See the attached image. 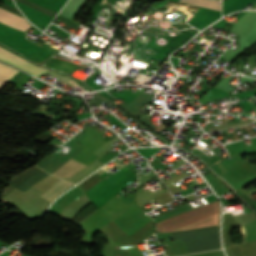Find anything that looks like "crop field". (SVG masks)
<instances>
[{"instance_id":"8a807250","label":"crop field","mask_w":256,"mask_h":256,"mask_svg":"<svg viewBox=\"0 0 256 256\" xmlns=\"http://www.w3.org/2000/svg\"><path fill=\"white\" fill-rule=\"evenodd\" d=\"M218 200L156 223L159 232L179 231L219 224Z\"/></svg>"},{"instance_id":"5a996713","label":"crop field","mask_w":256,"mask_h":256,"mask_svg":"<svg viewBox=\"0 0 256 256\" xmlns=\"http://www.w3.org/2000/svg\"><path fill=\"white\" fill-rule=\"evenodd\" d=\"M0 7H2V8H4V9L8 10V11H11V12H13V13H15V14L21 16V17H23V15H22L17 9L12 8V7H10V6L6 5V4H3V5H1Z\"/></svg>"},{"instance_id":"412701ff","label":"crop field","mask_w":256,"mask_h":256,"mask_svg":"<svg viewBox=\"0 0 256 256\" xmlns=\"http://www.w3.org/2000/svg\"><path fill=\"white\" fill-rule=\"evenodd\" d=\"M84 167H86V165L70 159L52 174L61 177H72Z\"/></svg>"},{"instance_id":"e52e79f7","label":"crop field","mask_w":256,"mask_h":256,"mask_svg":"<svg viewBox=\"0 0 256 256\" xmlns=\"http://www.w3.org/2000/svg\"><path fill=\"white\" fill-rule=\"evenodd\" d=\"M16 72L17 70L0 63V87L3 86Z\"/></svg>"},{"instance_id":"d8731c3e","label":"crop field","mask_w":256,"mask_h":256,"mask_svg":"<svg viewBox=\"0 0 256 256\" xmlns=\"http://www.w3.org/2000/svg\"><path fill=\"white\" fill-rule=\"evenodd\" d=\"M16 1H18L20 3H23V4H25V5L29 6V7H32L34 9H36V10H39V11H41V12H43L45 14H48V15H50L52 17H54L55 14H56V12H54V11L48 9V8L41 7V6L31 2L29 0H16Z\"/></svg>"},{"instance_id":"dd49c442","label":"crop field","mask_w":256,"mask_h":256,"mask_svg":"<svg viewBox=\"0 0 256 256\" xmlns=\"http://www.w3.org/2000/svg\"><path fill=\"white\" fill-rule=\"evenodd\" d=\"M180 1L221 11V1H218V0H180Z\"/></svg>"},{"instance_id":"ac0d7876","label":"crop field","mask_w":256,"mask_h":256,"mask_svg":"<svg viewBox=\"0 0 256 256\" xmlns=\"http://www.w3.org/2000/svg\"><path fill=\"white\" fill-rule=\"evenodd\" d=\"M0 61L21 68L39 78L48 71V69L38 67L2 47H0Z\"/></svg>"},{"instance_id":"f4fd0767","label":"crop field","mask_w":256,"mask_h":256,"mask_svg":"<svg viewBox=\"0 0 256 256\" xmlns=\"http://www.w3.org/2000/svg\"><path fill=\"white\" fill-rule=\"evenodd\" d=\"M69 186H71V184L60 179L55 185H53L49 190H47L41 197L52 201L57 195H59Z\"/></svg>"},{"instance_id":"34b2d1b8","label":"crop field","mask_w":256,"mask_h":256,"mask_svg":"<svg viewBox=\"0 0 256 256\" xmlns=\"http://www.w3.org/2000/svg\"><path fill=\"white\" fill-rule=\"evenodd\" d=\"M0 22H3L23 32H25L28 28L31 27L25 19L11 12H8L2 8H0Z\"/></svg>"}]
</instances>
